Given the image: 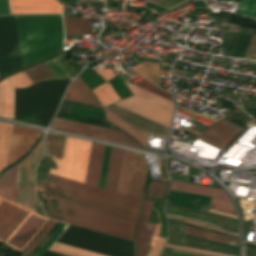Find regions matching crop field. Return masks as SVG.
Instances as JSON below:
<instances>
[{
    "label": "crop field",
    "mask_w": 256,
    "mask_h": 256,
    "mask_svg": "<svg viewBox=\"0 0 256 256\" xmlns=\"http://www.w3.org/2000/svg\"><path fill=\"white\" fill-rule=\"evenodd\" d=\"M61 223L57 222L55 226L50 230V232L45 236V238L40 242V244L35 248V250L30 254V256H34L36 252L42 247V245L48 240V238L53 234V232L59 227Z\"/></svg>",
    "instance_id": "42"
},
{
    "label": "crop field",
    "mask_w": 256,
    "mask_h": 256,
    "mask_svg": "<svg viewBox=\"0 0 256 256\" xmlns=\"http://www.w3.org/2000/svg\"><path fill=\"white\" fill-rule=\"evenodd\" d=\"M96 73H98L106 81L115 77L113 72H112V69H104V70L96 71Z\"/></svg>",
    "instance_id": "43"
},
{
    "label": "crop field",
    "mask_w": 256,
    "mask_h": 256,
    "mask_svg": "<svg viewBox=\"0 0 256 256\" xmlns=\"http://www.w3.org/2000/svg\"><path fill=\"white\" fill-rule=\"evenodd\" d=\"M106 108H108L110 111L115 113L121 119H123L128 124L133 126L135 129H137L139 132L144 134L146 137H148V134H151V135L168 138L169 129L162 125H159L153 121H150L144 117H141L115 104H112ZM106 108H104V111H105V117L108 121H110L120 129H122L124 132H126L136 141H138L143 148H147L148 138H146L144 135L139 133L137 130H135L133 127L128 125L126 122L121 120L119 117H117L115 114H113Z\"/></svg>",
    "instance_id": "4"
},
{
    "label": "crop field",
    "mask_w": 256,
    "mask_h": 256,
    "mask_svg": "<svg viewBox=\"0 0 256 256\" xmlns=\"http://www.w3.org/2000/svg\"><path fill=\"white\" fill-rule=\"evenodd\" d=\"M56 117L118 130L112 125H110L109 123H107L106 121L84 117L80 115H75V114H70L66 112L59 111Z\"/></svg>",
    "instance_id": "31"
},
{
    "label": "crop field",
    "mask_w": 256,
    "mask_h": 256,
    "mask_svg": "<svg viewBox=\"0 0 256 256\" xmlns=\"http://www.w3.org/2000/svg\"><path fill=\"white\" fill-rule=\"evenodd\" d=\"M68 225L62 223L35 256H43Z\"/></svg>",
    "instance_id": "39"
},
{
    "label": "crop field",
    "mask_w": 256,
    "mask_h": 256,
    "mask_svg": "<svg viewBox=\"0 0 256 256\" xmlns=\"http://www.w3.org/2000/svg\"><path fill=\"white\" fill-rule=\"evenodd\" d=\"M41 135V132L14 126L8 165L21 158Z\"/></svg>",
    "instance_id": "15"
},
{
    "label": "crop field",
    "mask_w": 256,
    "mask_h": 256,
    "mask_svg": "<svg viewBox=\"0 0 256 256\" xmlns=\"http://www.w3.org/2000/svg\"><path fill=\"white\" fill-rule=\"evenodd\" d=\"M0 199H1V197H0Z\"/></svg>",
    "instance_id": "53"
},
{
    "label": "crop field",
    "mask_w": 256,
    "mask_h": 256,
    "mask_svg": "<svg viewBox=\"0 0 256 256\" xmlns=\"http://www.w3.org/2000/svg\"><path fill=\"white\" fill-rule=\"evenodd\" d=\"M33 85L24 71L0 82V116L13 119L14 89Z\"/></svg>",
    "instance_id": "11"
},
{
    "label": "crop field",
    "mask_w": 256,
    "mask_h": 256,
    "mask_svg": "<svg viewBox=\"0 0 256 256\" xmlns=\"http://www.w3.org/2000/svg\"><path fill=\"white\" fill-rule=\"evenodd\" d=\"M66 35L85 33L91 30L90 21L84 18H64Z\"/></svg>",
    "instance_id": "28"
},
{
    "label": "crop field",
    "mask_w": 256,
    "mask_h": 256,
    "mask_svg": "<svg viewBox=\"0 0 256 256\" xmlns=\"http://www.w3.org/2000/svg\"><path fill=\"white\" fill-rule=\"evenodd\" d=\"M52 127L56 130L66 131L90 138L118 142L139 147L138 143H136L134 140H132L130 137L120 131L67 121L58 118L55 119Z\"/></svg>",
    "instance_id": "7"
},
{
    "label": "crop field",
    "mask_w": 256,
    "mask_h": 256,
    "mask_svg": "<svg viewBox=\"0 0 256 256\" xmlns=\"http://www.w3.org/2000/svg\"><path fill=\"white\" fill-rule=\"evenodd\" d=\"M13 126L3 124L0 132V171L6 167Z\"/></svg>",
    "instance_id": "23"
},
{
    "label": "crop field",
    "mask_w": 256,
    "mask_h": 256,
    "mask_svg": "<svg viewBox=\"0 0 256 256\" xmlns=\"http://www.w3.org/2000/svg\"><path fill=\"white\" fill-rule=\"evenodd\" d=\"M131 68L136 70V72L146 77L153 83L160 86L159 64H151L144 62Z\"/></svg>",
    "instance_id": "27"
},
{
    "label": "crop field",
    "mask_w": 256,
    "mask_h": 256,
    "mask_svg": "<svg viewBox=\"0 0 256 256\" xmlns=\"http://www.w3.org/2000/svg\"><path fill=\"white\" fill-rule=\"evenodd\" d=\"M243 129L221 119L199 138L224 149Z\"/></svg>",
    "instance_id": "14"
},
{
    "label": "crop field",
    "mask_w": 256,
    "mask_h": 256,
    "mask_svg": "<svg viewBox=\"0 0 256 256\" xmlns=\"http://www.w3.org/2000/svg\"><path fill=\"white\" fill-rule=\"evenodd\" d=\"M168 216H172V217H178V218H183V219H188V220H192V221H196V222H199V223H202V224H205V225H209V226H212V227H215V228H220V226L218 225H214V224H211V223H208V222H204V221H200V220H196V219H191V218H186V217H181V216H176V215H172V214H168L166 213ZM223 230V229H222Z\"/></svg>",
    "instance_id": "48"
},
{
    "label": "crop field",
    "mask_w": 256,
    "mask_h": 256,
    "mask_svg": "<svg viewBox=\"0 0 256 256\" xmlns=\"http://www.w3.org/2000/svg\"><path fill=\"white\" fill-rule=\"evenodd\" d=\"M172 251L181 252V253H187V254H193V255L212 256V255H206V254H200V253H194V252H188V251H182V250H176V249H172Z\"/></svg>",
    "instance_id": "49"
},
{
    "label": "crop field",
    "mask_w": 256,
    "mask_h": 256,
    "mask_svg": "<svg viewBox=\"0 0 256 256\" xmlns=\"http://www.w3.org/2000/svg\"><path fill=\"white\" fill-rule=\"evenodd\" d=\"M135 85L141 87V88H144L150 92H153L161 97H164L170 101H172V97H171V94L161 90L160 88L156 87L155 85L151 84L150 82L142 79L140 81H138L137 83H135Z\"/></svg>",
    "instance_id": "38"
},
{
    "label": "crop field",
    "mask_w": 256,
    "mask_h": 256,
    "mask_svg": "<svg viewBox=\"0 0 256 256\" xmlns=\"http://www.w3.org/2000/svg\"><path fill=\"white\" fill-rule=\"evenodd\" d=\"M209 212H211V213H217V214H222V215H225V216H227V217H231V218L237 219V217L234 216V215H228V214H224V213H220V212L212 211V210H209Z\"/></svg>",
    "instance_id": "50"
},
{
    "label": "crop field",
    "mask_w": 256,
    "mask_h": 256,
    "mask_svg": "<svg viewBox=\"0 0 256 256\" xmlns=\"http://www.w3.org/2000/svg\"><path fill=\"white\" fill-rule=\"evenodd\" d=\"M10 14L8 0H0V15Z\"/></svg>",
    "instance_id": "45"
},
{
    "label": "crop field",
    "mask_w": 256,
    "mask_h": 256,
    "mask_svg": "<svg viewBox=\"0 0 256 256\" xmlns=\"http://www.w3.org/2000/svg\"><path fill=\"white\" fill-rule=\"evenodd\" d=\"M125 83L134 95L116 104L169 128L173 104L127 82Z\"/></svg>",
    "instance_id": "3"
},
{
    "label": "crop field",
    "mask_w": 256,
    "mask_h": 256,
    "mask_svg": "<svg viewBox=\"0 0 256 256\" xmlns=\"http://www.w3.org/2000/svg\"><path fill=\"white\" fill-rule=\"evenodd\" d=\"M237 12L254 17L256 13V0H240Z\"/></svg>",
    "instance_id": "37"
},
{
    "label": "crop field",
    "mask_w": 256,
    "mask_h": 256,
    "mask_svg": "<svg viewBox=\"0 0 256 256\" xmlns=\"http://www.w3.org/2000/svg\"><path fill=\"white\" fill-rule=\"evenodd\" d=\"M47 221L48 219L31 212L6 244L11 245L12 250L21 252Z\"/></svg>",
    "instance_id": "12"
},
{
    "label": "crop field",
    "mask_w": 256,
    "mask_h": 256,
    "mask_svg": "<svg viewBox=\"0 0 256 256\" xmlns=\"http://www.w3.org/2000/svg\"><path fill=\"white\" fill-rule=\"evenodd\" d=\"M132 155H133L132 152L125 150L122 171H121V177H120V183H119V189H118V192L122 193V194L126 193V187H127L128 177H129Z\"/></svg>",
    "instance_id": "32"
},
{
    "label": "crop field",
    "mask_w": 256,
    "mask_h": 256,
    "mask_svg": "<svg viewBox=\"0 0 256 256\" xmlns=\"http://www.w3.org/2000/svg\"><path fill=\"white\" fill-rule=\"evenodd\" d=\"M64 99L101 107L96 98L79 77L71 84Z\"/></svg>",
    "instance_id": "21"
},
{
    "label": "crop field",
    "mask_w": 256,
    "mask_h": 256,
    "mask_svg": "<svg viewBox=\"0 0 256 256\" xmlns=\"http://www.w3.org/2000/svg\"><path fill=\"white\" fill-rule=\"evenodd\" d=\"M19 166L0 178V196L16 203Z\"/></svg>",
    "instance_id": "22"
},
{
    "label": "crop field",
    "mask_w": 256,
    "mask_h": 256,
    "mask_svg": "<svg viewBox=\"0 0 256 256\" xmlns=\"http://www.w3.org/2000/svg\"><path fill=\"white\" fill-rule=\"evenodd\" d=\"M50 250L70 256H103L57 243H55Z\"/></svg>",
    "instance_id": "34"
},
{
    "label": "crop field",
    "mask_w": 256,
    "mask_h": 256,
    "mask_svg": "<svg viewBox=\"0 0 256 256\" xmlns=\"http://www.w3.org/2000/svg\"><path fill=\"white\" fill-rule=\"evenodd\" d=\"M169 181H151L145 199L165 200Z\"/></svg>",
    "instance_id": "29"
},
{
    "label": "crop field",
    "mask_w": 256,
    "mask_h": 256,
    "mask_svg": "<svg viewBox=\"0 0 256 256\" xmlns=\"http://www.w3.org/2000/svg\"><path fill=\"white\" fill-rule=\"evenodd\" d=\"M176 106H177L178 109H181V110H183V111H185V112H187V113H189V114H191V115H194V116H196V117L200 116V117H203V118H205V119L211 120V121H213V122L217 121V120H215V119H212V118L207 117V116H205V115H202V114H200V113L194 112V111H192V110H189V109L184 108V107H182V106H179V105H177V104H176ZM181 110H180V111H181Z\"/></svg>",
    "instance_id": "44"
},
{
    "label": "crop field",
    "mask_w": 256,
    "mask_h": 256,
    "mask_svg": "<svg viewBox=\"0 0 256 256\" xmlns=\"http://www.w3.org/2000/svg\"><path fill=\"white\" fill-rule=\"evenodd\" d=\"M46 64L52 70L57 79L72 78L71 74L62 65V63L58 60L57 57L47 61Z\"/></svg>",
    "instance_id": "35"
},
{
    "label": "crop field",
    "mask_w": 256,
    "mask_h": 256,
    "mask_svg": "<svg viewBox=\"0 0 256 256\" xmlns=\"http://www.w3.org/2000/svg\"><path fill=\"white\" fill-rule=\"evenodd\" d=\"M123 149L112 147L105 189L117 192Z\"/></svg>",
    "instance_id": "19"
},
{
    "label": "crop field",
    "mask_w": 256,
    "mask_h": 256,
    "mask_svg": "<svg viewBox=\"0 0 256 256\" xmlns=\"http://www.w3.org/2000/svg\"><path fill=\"white\" fill-rule=\"evenodd\" d=\"M251 57L256 58V35L254 34L251 35L244 58L250 59Z\"/></svg>",
    "instance_id": "40"
},
{
    "label": "crop field",
    "mask_w": 256,
    "mask_h": 256,
    "mask_svg": "<svg viewBox=\"0 0 256 256\" xmlns=\"http://www.w3.org/2000/svg\"><path fill=\"white\" fill-rule=\"evenodd\" d=\"M70 112L104 120L103 114L97 113V112L87 111V110L78 109V108H74V107L71 108Z\"/></svg>",
    "instance_id": "41"
},
{
    "label": "crop field",
    "mask_w": 256,
    "mask_h": 256,
    "mask_svg": "<svg viewBox=\"0 0 256 256\" xmlns=\"http://www.w3.org/2000/svg\"><path fill=\"white\" fill-rule=\"evenodd\" d=\"M147 170L143 156L134 153L126 195L142 199Z\"/></svg>",
    "instance_id": "16"
},
{
    "label": "crop field",
    "mask_w": 256,
    "mask_h": 256,
    "mask_svg": "<svg viewBox=\"0 0 256 256\" xmlns=\"http://www.w3.org/2000/svg\"><path fill=\"white\" fill-rule=\"evenodd\" d=\"M185 228H186L185 229L186 234H190V235H194L197 237H201V238H205V239H209V240H213V241H217V242H221V243H225V244H229V245L238 247L236 239L228 238L223 235H219V234H215V233H211V232H207V231H203V230H198V229L191 228L188 226H185Z\"/></svg>",
    "instance_id": "25"
},
{
    "label": "crop field",
    "mask_w": 256,
    "mask_h": 256,
    "mask_svg": "<svg viewBox=\"0 0 256 256\" xmlns=\"http://www.w3.org/2000/svg\"><path fill=\"white\" fill-rule=\"evenodd\" d=\"M0 126H1V123H0Z\"/></svg>",
    "instance_id": "52"
},
{
    "label": "crop field",
    "mask_w": 256,
    "mask_h": 256,
    "mask_svg": "<svg viewBox=\"0 0 256 256\" xmlns=\"http://www.w3.org/2000/svg\"><path fill=\"white\" fill-rule=\"evenodd\" d=\"M171 189L212 196L211 205L209 209L236 215V212L231 204V201L229 200L224 190L174 181H172Z\"/></svg>",
    "instance_id": "10"
},
{
    "label": "crop field",
    "mask_w": 256,
    "mask_h": 256,
    "mask_svg": "<svg viewBox=\"0 0 256 256\" xmlns=\"http://www.w3.org/2000/svg\"><path fill=\"white\" fill-rule=\"evenodd\" d=\"M30 211L5 199L0 201V242L5 243Z\"/></svg>",
    "instance_id": "9"
},
{
    "label": "crop field",
    "mask_w": 256,
    "mask_h": 256,
    "mask_svg": "<svg viewBox=\"0 0 256 256\" xmlns=\"http://www.w3.org/2000/svg\"><path fill=\"white\" fill-rule=\"evenodd\" d=\"M181 246L205 249L213 252L226 253V254L238 256L237 247L197 238V237L186 235V234H183V240H182Z\"/></svg>",
    "instance_id": "18"
},
{
    "label": "crop field",
    "mask_w": 256,
    "mask_h": 256,
    "mask_svg": "<svg viewBox=\"0 0 256 256\" xmlns=\"http://www.w3.org/2000/svg\"><path fill=\"white\" fill-rule=\"evenodd\" d=\"M11 14L62 13L64 5L56 0H9Z\"/></svg>",
    "instance_id": "13"
},
{
    "label": "crop field",
    "mask_w": 256,
    "mask_h": 256,
    "mask_svg": "<svg viewBox=\"0 0 256 256\" xmlns=\"http://www.w3.org/2000/svg\"><path fill=\"white\" fill-rule=\"evenodd\" d=\"M154 201H144L137 227V256H146L156 225L147 224ZM165 238L153 236L147 256H158Z\"/></svg>",
    "instance_id": "8"
},
{
    "label": "crop field",
    "mask_w": 256,
    "mask_h": 256,
    "mask_svg": "<svg viewBox=\"0 0 256 256\" xmlns=\"http://www.w3.org/2000/svg\"><path fill=\"white\" fill-rule=\"evenodd\" d=\"M37 189L48 193L50 209L51 199L59 200L48 218L134 242L142 200L54 176L37 181Z\"/></svg>",
    "instance_id": "1"
},
{
    "label": "crop field",
    "mask_w": 256,
    "mask_h": 256,
    "mask_svg": "<svg viewBox=\"0 0 256 256\" xmlns=\"http://www.w3.org/2000/svg\"><path fill=\"white\" fill-rule=\"evenodd\" d=\"M166 247L183 249V250H189V251H195V252H201V253H207V254H213V255H219V256H229V255L213 253V252H208V251L195 250V249H189V248H182V247H177V246H173V245H169V244H167Z\"/></svg>",
    "instance_id": "46"
},
{
    "label": "crop field",
    "mask_w": 256,
    "mask_h": 256,
    "mask_svg": "<svg viewBox=\"0 0 256 256\" xmlns=\"http://www.w3.org/2000/svg\"><path fill=\"white\" fill-rule=\"evenodd\" d=\"M56 222L49 220L48 223L43 227L35 239L30 243V245L23 252L22 256H28L33 249L38 245V243L44 238V236L49 232V230L54 226Z\"/></svg>",
    "instance_id": "36"
},
{
    "label": "crop field",
    "mask_w": 256,
    "mask_h": 256,
    "mask_svg": "<svg viewBox=\"0 0 256 256\" xmlns=\"http://www.w3.org/2000/svg\"><path fill=\"white\" fill-rule=\"evenodd\" d=\"M17 204L34 211L36 195L34 190L18 189Z\"/></svg>",
    "instance_id": "33"
},
{
    "label": "crop field",
    "mask_w": 256,
    "mask_h": 256,
    "mask_svg": "<svg viewBox=\"0 0 256 256\" xmlns=\"http://www.w3.org/2000/svg\"><path fill=\"white\" fill-rule=\"evenodd\" d=\"M25 73L28 75L33 84L38 81L56 79L45 62L25 70Z\"/></svg>",
    "instance_id": "26"
},
{
    "label": "crop field",
    "mask_w": 256,
    "mask_h": 256,
    "mask_svg": "<svg viewBox=\"0 0 256 256\" xmlns=\"http://www.w3.org/2000/svg\"><path fill=\"white\" fill-rule=\"evenodd\" d=\"M21 67L14 16L0 17V77Z\"/></svg>",
    "instance_id": "6"
},
{
    "label": "crop field",
    "mask_w": 256,
    "mask_h": 256,
    "mask_svg": "<svg viewBox=\"0 0 256 256\" xmlns=\"http://www.w3.org/2000/svg\"><path fill=\"white\" fill-rule=\"evenodd\" d=\"M103 148H104V145L92 142L86 181H85L86 184L97 187Z\"/></svg>",
    "instance_id": "20"
},
{
    "label": "crop field",
    "mask_w": 256,
    "mask_h": 256,
    "mask_svg": "<svg viewBox=\"0 0 256 256\" xmlns=\"http://www.w3.org/2000/svg\"><path fill=\"white\" fill-rule=\"evenodd\" d=\"M90 144L67 137L63 160L52 158L57 170L50 169L49 174L84 183Z\"/></svg>",
    "instance_id": "5"
},
{
    "label": "crop field",
    "mask_w": 256,
    "mask_h": 256,
    "mask_svg": "<svg viewBox=\"0 0 256 256\" xmlns=\"http://www.w3.org/2000/svg\"><path fill=\"white\" fill-rule=\"evenodd\" d=\"M182 1H184V0H166L162 3H160L159 5H162L167 8H171V7L181 3Z\"/></svg>",
    "instance_id": "47"
},
{
    "label": "crop field",
    "mask_w": 256,
    "mask_h": 256,
    "mask_svg": "<svg viewBox=\"0 0 256 256\" xmlns=\"http://www.w3.org/2000/svg\"><path fill=\"white\" fill-rule=\"evenodd\" d=\"M65 139L64 136L48 134L44 156L62 159Z\"/></svg>",
    "instance_id": "24"
},
{
    "label": "crop field",
    "mask_w": 256,
    "mask_h": 256,
    "mask_svg": "<svg viewBox=\"0 0 256 256\" xmlns=\"http://www.w3.org/2000/svg\"><path fill=\"white\" fill-rule=\"evenodd\" d=\"M23 67L61 52V15L15 16Z\"/></svg>",
    "instance_id": "2"
},
{
    "label": "crop field",
    "mask_w": 256,
    "mask_h": 256,
    "mask_svg": "<svg viewBox=\"0 0 256 256\" xmlns=\"http://www.w3.org/2000/svg\"><path fill=\"white\" fill-rule=\"evenodd\" d=\"M44 140L35 152L20 164L18 188L34 189V173L36 164L41 156Z\"/></svg>",
    "instance_id": "17"
},
{
    "label": "crop field",
    "mask_w": 256,
    "mask_h": 256,
    "mask_svg": "<svg viewBox=\"0 0 256 256\" xmlns=\"http://www.w3.org/2000/svg\"><path fill=\"white\" fill-rule=\"evenodd\" d=\"M95 96L98 98L103 107L119 100V97L116 95L111 86L107 83L103 84L99 88L92 91Z\"/></svg>",
    "instance_id": "30"
},
{
    "label": "crop field",
    "mask_w": 256,
    "mask_h": 256,
    "mask_svg": "<svg viewBox=\"0 0 256 256\" xmlns=\"http://www.w3.org/2000/svg\"><path fill=\"white\" fill-rule=\"evenodd\" d=\"M148 1H151V2H153V3L158 4V3H160V2H162V1H164V0H148Z\"/></svg>",
    "instance_id": "51"
}]
</instances>
